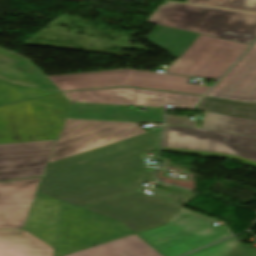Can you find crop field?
<instances>
[{
	"label": "crop field",
	"mask_w": 256,
	"mask_h": 256,
	"mask_svg": "<svg viewBox=\"0 0 256 256\" xmlns=\"http://www.w3.org/2000/svg\"><path fill=\"white\" fill-rule=\"evenodd\" d=\"M161 131L119 141L50 163L40 192L81 207L121 196L154 180L142 153L157 149Z\"/></svg>",
	"instance_id": "1"
},
{
	"label": "crop field",
	"mask_w": 256,
	"mask_h": 256,
	"mask_svg": "<svg viewBox=\"0 0 256 256\" xmlns=\"http://www.w3.org/2000/svg\"><path fill=\"white\" fill-rule=\"evenodd\" d=\"M179 59L166 73L219 78L249 46L157 25L145 38Z\"/></svg>",
	"instance_id": "2"
},
{
	"label": "crop field",
	"mask_w": 256,
	"mask_h": 256,
	"mask_svg": "<svg viewBox=\"0 0 256 256\" xmlns=\"http://www.w3.org/2000/svg\"><path fill=\"white\" fill-rule=\"evenodd\" d=\"M147 22L248 44L256 39L251 13L167 2Z\"/></svg>",
	"instance_id": "3"
},
{
	"label": "crop field",
	"mask_w": 256,
	"mask_h": 256,
	"mask_svg": "<svg viewBox=\"0 0 256 256\" xmlns=\"http://www.w3.org/2000/svg\"><path fill=\"white\" fill-rule=\"evenodd\" d=\"M70 105L58 93L0 107V143L58 139Z\"/></svg>",
	"instance_id": "4"
},
{
	"label": "crop field",
	"mask_w": 256,
	"mask_h": 256,
	"mask_svg": "<svg viewBox=\"0 0 256 256\" xmlns=\"http://www.w3.org/2000/svg\"><path fill=\"white\" fill-rule=\"evenodd\" d=\"M133 234L120 222L61 201L55 254L64 256Z\"/></svg>",
	"instance_id": "5"
},
{
	"label": "crop field",
	"mask_w": 256,
	"mask_h": 256,
	"mask_svg": "<svg viewBox=\"0 0 256 256\" xmlns=\"http://www.w3.org/2000/svg\"><path fill=\"white\" fill-rule=\"evenodd\" d=\"M220 222L182 208L165 225L137 233L164 256H178L230 236Z\"/></svg>",
	"instance_id": "6"
},
{
	"label": "crop field",
	"mask_w": 256,
	"mask_h": 256,
	"mask_svg": "<svg viewBox=\"0 0 256 256\" xmlns=\"http://www.w3.org/2000/svg\"><path fill=\"white\" fill-rule=\"evenodd\" d=\"M162 150L213 155L256 166V138L188 127L165 126Z\"/></svg>",
	"instance_id": "7"
},
{
	"label": "crop field",
	"mask_w": 256,
	"mask_h": 256,
	"mask_svg": "<svg viewBox=\"0 0 256 256\" xmlns=\"http://www.w3.org/2000/svg\"><path fill=\"white\" fill-rule=\"evenodd\" d=\"M61 90L130 86L204 95L210 86L188 84L186 76L135 71L130 69L49 77Z\"/></svg>",
	"instance_id": "8"
},
{
	"label": "crop field",
	"mask_w": 256,
	"mask_h": 256,
	"mask_svg": "<svg viewBox=\"0 0 256 256\" xmlns=\"http://www.w3.org/2000/svg\"><path fill=\"white\" fill-rule=\"evenodd\" d=\"M143 133L137 123L67 119L50 162Z\"/></svg>",
	"instance_id": "9"
},
{
	"label": "crop field",
	"mask_w": 256,
	"mask_h": 256,
	"mask_svg": "<svg viewBox=\"0 0 256 256\" xmlns=\"http://www.w3.org/2000/svg\"><path fill=\"white\" fill-rule=\"evenodd\" d=\"M181 208L140 191L86 209L122 221L137 233L165 224Z\"/></svg>",
	"instance_id": "10"
},
{
	"label": "crop field",
	"mask_w": 256,
	"mask_h": 256,
	"mask_svg": "<svg viewBox=\"0 0 256 256\" xmlns=\"http://www.w3.org/2000/svg\"><path fill=\"white\" fill-rule=\"evenodd\" d=\"M63 94L71 101L135 104L159 107L173 105L175 108L193 107L201 97L198 95L160 92L129 87L67 92Z\"/></svg>",
	"instance_id": "11"
},
{
	"label": "crop field",
	"mask_w": 256,
	"mask_h": 256,
	"mask_svg": "<svg viewBox=\"0 0 256 256\" xmlns=\"http://www.w3.org/2000/svg\"><path fill=\"white\" fill-rule=\"evenodd\" d=\"M54 141L0 144V181L43 176Z\"/></svg>",
	"instance_id": "12"
},
{
	"label": "crop field",
	"mask_w": 256,
	"mask_h": 256,
	"mask_svg": "<svg viewBox=\"0 0 256 256\" xmlns=\"http://www.w3.org/2000/svg\"><path fill=\"white\" fill-rule=\"evenodd\" d=\"M42 177L0 183V229H21Z\"/></svg>",
	"instance_id": "13"
},
{
	"label": "crop field",
	"mask_w": 256,
	"mask_h": 256,
	"mask_svg": "<svg viewBox=\"0 0 256 256\" xmlns=\"http://www.w3.org/2000/svg\"><path fill=\"white\" fill-rule=\"evenodd\" d=\"M208 95L256 101V44Z\"/></svg>",
	"instance_id": "14"
},
{
	"label": "crop field",
	"mask_w": 256,
	"mask_h": 256,
	"mask_svg": "<svg viewBox=\"0 0 256 256\" xmlns=\"http://www.w3.org/2000/svg\"><path fill=\"white\" fill-rule=\"evenodd\" d=\"M164 108L151 113L125 111V106L72 103L67 118L162 123Z\"/></svg>",
	"instance_id": "15"
},
{
	"label": "crop field",
	"mask_w": 256,
	"mask_h": 256,
	"mask_svg": "<svg viewBox=\"0 0 256 256\" xmlns=\"http://www.w3.org/2000/svg\"><path fill=\"white\" fill-rule=\"evenodd\" d=\"M3 49V48H2ZM0 49V74L16 83L37 88L59 90L31 61Z\"/></svg>",
	"instance_id": "16"
},
{
	"label": "crop field",
	"mask_w": 256,
	"mask_h": 256,
	"mask_svg": "<svg viewBox=\"0 0 256 256\" xmlns=\"http://www.w3.org/2000/svg\"><path fill=\"white\" fill-rule=\"evenodd\" d=\"M59 206V200L38 193L24 229L54 247Z\"/></svg>",
	"instance_id": "17"
},
{
	"label": "crop field",
	"mask_w": 256,
	"mask_h": 256,
	"mask_svg": "<svg viewBox=\"0 0 256 256\" xmlns=\"http://www.w3.org/2000/svg\"><path fill=\"white\" fill-rule=\"evenodd\" d=\"M54 248L28 231H0V256H53Z\"/></svg>",
	"instance_id": "18"
},
{
	"label": "crop field",
	"mask_w": 256,
	"mask_h": 256,
	"mask_svg": "<svg viewBox=\"0 0 256 256\" xmlns=\"http://www.w3.org/2000/svg\"><path fill=\"white\" fill-rule=\"evenodd\" d=\"M67 256H162L133 234Z\"/></svg>",
	"instance_id": "19"
},
{
	"label": "crop field",
	"mask_w": 256,
	"mask_h": 256,
	"mask_svg": "<svg viewBox=\"0 0 256 256\" xmlns=\"http://www.w3.org/2000/svg\"><path fill=\"white\" fill-rule=\"evenodd\" d=\"M202 128L256 137V120L206 112Z\"/></svg>",
	"instance_id": "20"
},
{
	"label": "crop field",
	"mask_w": 256,
	"mask_h": 256,
	"mask_svg": "<svg viewBox=\"0 0 256 256\" xmlns=\"http://www.w3.org/2000/svg\"><path fill=\"white\" fill-rule=\"evenodd\" d=\"M195 109L256 119V103H241L206 97Z\"/></svg>",
	"instance_id": "21"
},
{
	"label": "crop field",
	"mask_w": 256,
	"mask_h": 256,
	"mask_svg": "<svg viewBox=\"0 0 256 256\" xmlns=\"http://www.w3.org/2000/svg\"><path fill=\"white\" fill-rule=\"evenodd\" d=\"M53 92L34 89L0 79V105Z\"/></svg>",
	"instance_id": "22"
},
{
	"label": "crop field",
	"mask_w": 256,
	"mask_h": 256,
	"mask_svg": "<svg viewBox=\"0 0 256 256\" xmlns=\"http://www.w3.org/2000/svg\"><path fill=\"white\" fill-rule=\"evenodd\" d=\"M187 2L256 12V0H188Z\"/></svg>",
	"instance_id": "23"
},
{
	"label": "crop field",
	"mask_w": 256,
	"mask_h": 256,
	"mask_svg": "<svg viewBox=\"0 0 256 256\" xmlns=\"http://www.w3.org/2000/svg\"><path fill=\"white\" fill-rule=\"evenodd\" d=\"M239 243L234 237L187 256H229Z\"/></svg>",
	"instance_id": "24"
},
{
	"label": "crop field",
	"mask_w": 256,
	"mask_h": 256,
	"mask_svg": "<svg viewBox=\"0 0 256 256\" xmlns=\"http://www.w3.org/2000/svg\"><path fill=\"white\" fill-rule=\"evenodd\" d=\"M230 256H256V250L240 243Z\"/></svg>",
	"instance_id": "25"
},
{
	"label": "crop field",
	"mask_w": 256,
	"mask_h": 256,
	"mask_svg": "<svg viewBox=\"0 0 256 256\" xmlns=\"http://www.w3.org/2000/svg\"><path fill=\"white\" fill-rule=\"evenodd\" d=\"M166 123L196 126V121H188V116H167Z\"/></svg>",
	"instance_id": "26"
}]
</instances>
